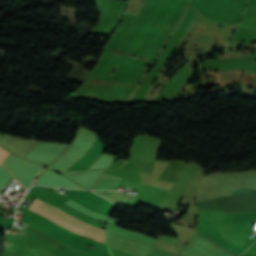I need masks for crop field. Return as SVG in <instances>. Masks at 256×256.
Wrapping results in <instances>:
<instances>
[{
	"label": "crop field",
	"mask_w": 256,
	"mask_h": 256,
	"mask_svg": "<svg viewBox=\"0 0 256 256\" xmlns=\"http://www.w3.org/2000/svg\"><path fill=\"white\" fill-rule=\"evenodd\" d=\"M0 208H1V206H0Z\"/></svg>",
	"instance_id": "7"
},
{
	"label": "crop field",
	"mask_w": 256,
	"mask_h": 256,
	"mask_svg": "<svg viewBox=\"0 0 256 256\" xmlns=\"http://www.w3.org/2000/svg\"><path fill=\"white\" fill-rule=\"evenodd\" d=\"M100 193L117 201V202L133 200V199L127 198L125 196H122L115 191H101Z\"/></svg>",
	"instance_id": "5"
},
{
	"label": "crop field",
	"mask_w": 256,
	"mask_h": 256,
	"mask_svg": "<svg viewBox=\"0 0 256 256\" xmlns=\"http://www.w3.org/2000/svg\"><path fill=\"white\" fill-rule=\"evenodd\" d=\"M120 179L104 174L93 189H114Z\"/></svg>",
	"instance_id": "4"
},
{
	"label": "crop field",
	"mask_w": 256,
	"mask_h": 256,
	"mask_svg": "<svg viewBox=\"0 0 256 256\" xmlns=\"http://www.w3.org/2000/svg\"><path fill=\"white\" fill-rule=\"evenodd\" d=\"M155 239L107 225L106 246L110 256H145Z\"/></svg>",
	"instance_id": "1"
},
{
	"label": "crop field",
	"mask_w": 256,
	"mask_h": 256,
	"mask_svg": "<svg viewBox=\"0 0 256 256\" xmlns=\"http://www.w3.org/2000/svg\"><path fill=\"white\" fill-rule=\"evenodd\" d=\"M7 174H9L5 168H3L2 166H0V179H2L3 177H5Z\"/></svg>",
	"instance_id": "6"
},
{
	"label": "crop field",
	"mask_w": 256,
	"mask_h": 256,
	"mask_svg": "<svg viewBox=\"0 0 256 256\" xmlns=\"http://www.w3.org/2000/svg\"><path fill=\"white\" fill-rule=\"evenodd\" d=\"M43 204H44V202L35 199V201L30 205L29 210L37 212ZM42 208L46 209L47 211L51 212L52 214L56 215L57 217L61 218L62 220L66 221L70 224H73L75 226L86 229L88 231H91L93 233H96V234L101 235V236L104 237V231L103 230H101L99 228L92 227L88 224H85V223H83V222H81V221H79V220H77V219H75V218H73V217H71V216L53 208V207H51L50 205H48L46 203L44 204V206ZM42 208L37 213L41 214L42 216L46 217L47 219L65 227V228H67V229H69V230H71V231H73L77 234L85 235L87 237L93 238L96 241L104 243V238L103 237L98 236L96 234H93L91 232L85 231V230L80 229L78 227H75L73 225H70V224L62 221L61 219L57 218L56 216L52 215L51 213L47 212L46 210L42 209Z\"/></svg>",
	"instance_id": "2"
},
{
	"label": "crop field",
	"mask_w": 256,
	"mask_h": 256,
	"mask_svg": "<svg viewBox=\"0 0 256 256\" xmlns=\"http://www.w3.org/2000/svg\"><path fill=\"white\" fill-rule=\"evenodd\" d=\"M171 186V183L149 178V180L143 187V190L163 196V194L167 193Z\"/></svg>",
	"instance_id": "3"
}]
</instances>
